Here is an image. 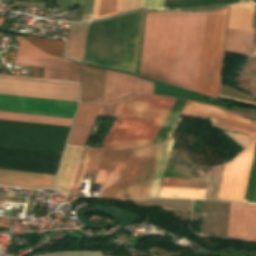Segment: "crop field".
Listing matches in <instances>:
<instances>
[{
  "instance_id": "10",
  "label": "crop field",
  "mask_w": 256,
  "mask_h": 256,
  "mask_svg": "<svg viewBox=\"0 0 256 256\" xmlns=\"http://www.w3.org/2000/svg\"><path fill=\"white\" fill-rule=\"evenodd\" d=\"M254 142L226 164L218 199L243 201Z\"/></svg>"
},
{
  "instance_id": "33",
  "label": "crop field",
  "mask_w": 256,
  "mask_h": 256,
  "mask_svg": "<svg viewBox=\"0 0 256 256\" xmlns=\"http://www.w3.org/2000/svg\"><path fill=\"white\" fill-rule=\"evenodd\" d=\"M178 152V150L171 151L168 165L163 177L187 178V175H180L175 166Z\"/></svg>"
},
{
  "instance_id": "8",
  "label": "crop field",
  "mask_w": 256,
  "mask_h": 256,
  "mask_svg": "<svg viewBox=\"0 0 256 256\" xmlns=\"http://www.w3.org/2000/svg\"><path fill=\"white\" fill-rule=\"evenodd\" d=\"M78 103L0 95V111L73 118Z\"/></svg>"
},
{
  "instance_id": "1",
  "label": "crop field",
  "mask_w": 256,
  "mask_h": 256,
  "mask_svg": "<svg viewBox=\"0 0 256 256\" xmlns=\"http://www.w3.org/2000/svg\"><path fill=\"white\" fill-rule=\"evenodd\" d=\"M205 16L147 13L139 74L196 92Z\"/></svg>"
},
{
  "instance_id": "24",
  "label": "crop field",
  "mask_w": 256,
  "mask_h": 256,
  "mask_svg": "<svg viewBox=\"0 0 256 256\" xmlns=\"http://www.w3.org/2000/svg\"><path fill=\"white\" fill-rule=\"evenodd\" d=\"M140 207H162L164 210H189L191 211L192 200L152 199L134 202Z\"/></svg>"
},
{
  "instance_id": "17",
  "label": "crop field",
  "mask_w": 256,
  "mask_h": 256,
  "mask_svg": "<svg viewBox=\"0 0 256 256\" xmlns=\"http://www.w3.org/2000/svg\"><path fill=\"white\" fill-rule=\"evenodd\" d=\"M84 148L67 146L55 188L69 195Z\"/></svg>"
},
{
  "instance_id": "27",
  "label": "crop field",
  "mask_w": 256,
  "mask_h": 256,
  "mask_svg": "<svg viewBox=\"0 0 256 256\" xmlns=\"http://www.w3.org/2000/svg\"><path fill=\"white\" fill-rule=\"evenodd\" d=\"M205 190L161 188L158 197L203 199Z\"/></svg>"
},
{
  "instance_id": "41",
  "label": "crop field",
  "mask_w": 256,
  "mask_h": 256,
  "mask_svg": "<svg viewBox=\"0 0 256 256\" xmlns=\"http://www.w3.org/2000/svg\"><path fill=\"white\" fill-rule=\"evenodd\" d=\"M252 75H253L254 79H256V73H252Z\"/></svg>"
},
{
  "instance_id": "32",
  "label": "crop field",
  "mask_w": 256,
  "mask_h": 256,
  "mask_svg": "<svg viewBox=\"0 0 256 256\" xmlns=\"http://www.w3.org/2000/svg\"><path fill=\"white\" fill-rule=\"evenodd\" d=\"M92 149L85 148L70 196L77 197Z\"/></svg>"
},
{
  "instance_id": "5",
  "label": "crop field",
  "mask_w": 256,
  "mask_h": 256,
  "mask_svg": "<svg viewBox=\"0 0 256 256\" xmlns=\"http://www.w3.org/2000/svg\"><path fill=\"white\" fill-rule=\"evenodd\" d=\"M162 146L132 150L118 199L124 200L125 194H130L129 200L148 197Z\"/></svg>"
},
{
  "instance_id": "40",
  "label": "crop field",
  "mask_w": 256,
  "mask_h": 256,
  "mask_svg": "<svg viewBox=\"0 0 256 256\" xmlns=\"http://www.w3.org/2000/svg\"><path fill=\"white\" fill-rule=\"evenodd\" d=\"M220 97L227 98V99H231V100H235V101H239V102H244V103L255 104V105H256V103L249 102V101H245V100L235 99V98L226 97V96H222V95H220Z\"/></svg>"
},
{
  "instance_id": "3",
  "label": "crop field",
  "mask_w": 256,
  "mask_h": 256,
  "mask_svg": "<svg viewBox=\"0 0 256 256\" xmlns=\"http://www.w3.org/2000/svg\"><path fill=\"white\" fill-rule=\"evenodd\" d=\"M229 7L207 12L197 92L218 97Z\"/></svg>"
},
{
  "instance_id": "29",
  "label": "crop field",
  "mask_w": 256,
  "mask_h": 256,
  "mask_svg": "<svg viewBox=\"0 0 256 256\" xmlns=\"http://www.w3.org/2000/svg\"><path fill=\"white\" fill-rule=\"evenodd\" d=\"M20 42L18 51L16 55L29 56V57H39V58H50V59H62L55 56L48 55L41 50L37 49L31 45L26 38L16 37ZM65 60V59H64Z\"/></svg>"
},
{
  "instance_id": "26",
  "label": "crop field",
  "mask_w": 256,
  "mask_h": 256,
  "mask_svg": "<svg viewBox=\"0 0 256 256\" xmlns=\"http://www.w3.org/2000/svg\"><path fill=\"white\" fill-rule=\"evenodd\" d=\"M26 38L35 46L45 50L46 52L53 55L64 57L63 56L64 45H65L64 41L30 37V36H27Z\"/></svg>"
},
{
  "instance_id": "35",
  "label": "crop field",
  "mask_w": 256,
  "mask_h": 256,
  "mask_svg": "<svg viewBox=\"0 0 256 256\" xmlns=\"http://www.w3.org/2000/svg\"><path fill=\"white\" fill-rule=\"evenodd\" d=\"M125 101L115 104H103L98 116L116 117Z\"/></svg>"
},
{
  "instance_id": "15",
  "label": "crop field",
  "mask_w": 256,
  "mask_h": 256,
  "mask_svg": "<svg viewBox=\"0 0 256 256\" xmlns=\"http://www.w3.org/2000/svg\"><path fill=\"white\" fill-rule=\"evenodd\" d=\"M101 105L80 103L68 144L86 145Z\"/></svg>"
},
{
  "instance_id": "34",
  "label": "crop field",
  "mask_w": 256,
  "mask_h": 256,
  "mask_svg": "<svg viewBox=\"0 0 256 256\" xmlns=\"http://www.w3.org/2000/svg\"><path fill=\"white\" fill-rule=\"evenodd\" d=\"M103 150L93 149L85 174L96 175L99 161Z\"/></svg>"
},
{
  "instance_id": "13",
  "label": "crop field",
  "mask_w": 256,
  "mask_h": 256,
  "mask_svg": "<svg viewBox=\"0 0 256 256\" xmlns=\"http://www.w3.org/2000/svg\"><path fill=\"white\" fill-rule=\"evenodd\" d=\"M14 64L45 67L44 78L79 82L81 66L72 61L16 56Z\"/></svg>"
},
{
  "instance_id": "9",
  "label": "crop field",
  "mask_w": 256,
  "mask_h": 256,
  "mask_svg": "<svg viewBox=\"0 0 256 256\" xmlns=\"http://www.w3.org/2000/svg\"><path fill=\"white\" fill-rule=\"evenodd\" d=\"M131 150H104L94 183L104 184L101 197L117 199Z\"/></svg>"
},
{
  "instance_id": "31",
  "label": "crop field",
  "mask_w": 256,
  "mask_h": 256,
  "mask_svg": "<svg viewBox=\"0 0 256 256\" xmlns=\"http://www.w3.org/2000/svg\"><path fill=\"white\" fill-rule=\"evenodd\" d=\"M154 94L185 98L202 102L203 98L154 83Z\"/></svg>"
},
{
  "instance_id": "6",
  "label": "crop field",
  "mask_w": 256,
  "mask_h": 256,
  "mask_svg": "<svg viewBox=\"0 0 256 256\" xmlns=\"http://www.w3.org/2000/svg\"><path fill=\"white\" fill-rule=\"evenodd\" d=\"M0 94L78 102L79 86L0 78Z\"/></svg>"
},
{
  "instance_id": "2",
  "label": "crop field",
  "mask_w": 256,
  "mask_h": 256,
  "mask_svg": "<svg viewBox=\"0 0 256 256\" xmlns=\"http://www.w3.org/2000/svg\"><path fill=\"white\" fill-rule=\"evenodd\" d=\"M174 101L149 95L126 100L102 148L151 145Z\"/></svg>"
},
{
  "instance_id": "23",
  "label": "crop field",
  "mask_w": 256,
  "mask_h": 256,
  "mask_svg": "<svg viewBox=\"0 0 256 256\" xmlns=\"http://www.w3.org/2000/svg\"><path fill=\"white\" fill-rule=\"evenodd\" d=\"M186 101L176 99L173 107L171 108L168 116L166 117L162 127L160 128L157 136L155 137L152 145L164 144L168 134L170 133L174 123L176 122L180 112L182 111Z\"/></svg>"
},
{
  "instance_id": "39",
  "label": "crop field",
  "mask_w": 256,
  "mask_h": 256,
  "mask_svg": "<svg viewBox=\"0 0 256 256\" xmlns=\"http://www.w3.org/2000/svg\"><path fill=\"white\" fill-rule=\"evenodd\" d=\"M153 94V83L140 79L139 95Z\"/></svg>"
},
{
  "instance_id": "38",
  "label": "crop field",
  "mask_w": 256,
  "mask_h": 256,
  "mask_svg": "<svg viewBox=\"0 0 256 256\" xmlns=\"http://www.w3.org/2000/svg\"><path fill=\"white\" fill-rule=\"evenodd\" d=\"M0 77H2V78H12V79H23V80H33V81H43V82H54V83H64V84L79 85V83H75V82H65V81H56V80H47V79L28 78V77H18V76H8V75H0Z\"/></svg>"
},
{
  "instance_id": "7",
  "label": "crop field",
  "mask_w": 256,
  "mask_h": 256,
  "mask_svg": "<svg viewBox=\"0 0 256 256\" xmlns=\"http://www.w3.org/2000/svg\"><path fill=\"white\" fill-rule=\"evenodd\" d=\"M182 114L212 120L219 129L256 137V123L222 108L187 101Z\"/></svg>"
},
{
  "instance_id": "21",
  "label": "crop field",
  "mask_w": 256,
  "mask_h": 256,
  "mask_svg": "<svg viewBox=\"0 0 256 256\" xmlns=\"http://www.w3.org/2000/svg\"><path fill=\"white\" fill-rule=\"evenodd\" d=\"M0 119L70 126L73 119L0 112Z\"/></svg>"
},
{
  "instance_id": "28",
  "label": "crop field",
  "mask_w": 256,
  "mask_h": 256,
  "mask_svg": "<svg viewBox=\"0 0 256 256\" xmlns=\"http://www.w3.org/2000/svg\"><path fill=\"white\" fill-rule=\"evenodd\" d=\"M207 182L208 180L164 178L161 187L205 189Z\"/></svg>"
},
{
  "instance_id": "18",
  "label": "crop field",
  "mask_w": 256,
  "mask_h": 256,
  "mask_svg": "<svg viewBox=\"0 0 256 256\" xmlns=\"http://www.w3.org/2000/svg\"><path fill=\"white\" fill-rule=\"evenodd\" d=\"M56 176L0 170V185L52 188Z\"/></svg>"
},
{
  "instance_id": "30",
  "label": "crop field",
  "mask_w": 256,
  "mask_h": 256,
  "mask_svg": "<svg viewBox=\"0 0 256 256\" xmlns=\"http://www.w3.org/2000/svg\"><path fill=\"white\" fill-rule=\"evenodd\" d=\"M244 201L256 202V142Z\"/></svg>"
},
{
  "instance_id": "12",
  "label": "crop field",
  "mask_w": 256,
  "mask_h": 256,
  "mask_svg": "<svg viewBox=\"0 0 256 256\" xmlns=\"http://www.w3.org/2000/svg\"><path fill=\"white\" fill-rule=\"evenodd\" d=\"M228 237L256 241V204L231 202Z\"/></svg>"
},
{
  "instance_id": "4",
  "label": "crop field",
  "mask_w": 256,
  "mask_h": 256,
  "mask_svg": "<svg viewBox=\"0 0 256 256\" xmlns=\"http://www.w3.org/2000/svg\"><path fill=\"white\" fill-rule=\"evenodd\" d=\"M69 128L0 120V145L63 152Z\"/></svg>"
},
{
  "instance_id": "22",
  "label": "crop field",
  "mask_w": 256,
  "mask_h": 256,
  "mask_svg": "<svg viewBox=\"0 0 256 256\" xmlns=\"http://www.w3.org/2000/svg\"><path fill=\"white\" fill-rule=\"evenodd\" d=\"M179 121H180V118H178L175 126L173 127L170 135L168 136V138H167V140H166V142L163 146V150H162V153H161V156H160V160H159V163H158V166H157V170H156V173H155V177H154V180H153L152 187H151L148 198H152V197L157 196V192H158V189H159V186H160V182H161V179H162V176H163V172H164V169H165V166H166V162H167V159H168V156H169V152H170V149H171V147H172V145L175 141V140L170 139V138H171L173 132L175 131Z\"/></svg>"
},
{
  "instance_id": "20",
  "label": "crop field",
  "mask_w": 256,
  "mask_h": 256,
  "mask_svg": "<svg viewBox=\"0 0 256 256\" xmlns=\"http://www.w3.org/2000/svg\"><path fill=\"white\" fill-rule=\"evenodd\" d=\"M254 7L252 3L232 5L228 27L251 31Z\"/></svg>"
},
{
  "instance_id": "25",
  "label": "crop field",
  "mask_w": 256,
  "mask_h": 256,
  "mask_svg": "<svg viewBox=\"0 0 256 256\" xmlns=\"http://www.w3.org/2000/svg\"><path fill=\"white\" fill-rule=\"evenodd\" d=\"M121 0H96L93 19H100L120 13Z\"/></svg>"
},
{
  "instance_id": "36",
  "label": "crop field",
  "mask_w": 256,
  "mask_h": 256,
  "mask_svg": "<svg viewBox=\"0 0 256 256\" xmlns=\"http://www.w3.org/2000/svg\"><path fill=\"white\" fill-rule=\"evenodd\" d=\"M142 0H122L121 13L140 9Z\"/></svg>"
},
{
  "instance_id": "37",
  "label": "crop field",
  "mask_w": 256,
  "mask_h": 256,
  "mask_svg": "<svg viewBox=\"0 0 256 256\" xmlns=\"http://www.w3.org/2000/svg\"><path fill=\"white\" fill-rule=\"evenodd\" d=\"M164 0H143L142 7L152 10L163 9Z\"/></svg>"
},
{
  "instance_id": "14",
  "label": "crop field",
  "mask_w": 256,
  "mask_h": 256,
  "mask_svg": "<svg viewBox=\"0 0 256 256\" xmlns=\"http://www.w3.org/2000/svg\"><path fill=\"white\" fill-rule=\"evenodd\" d=\"M139 79L106 71L104 102H116L138 95Z\"/></svg>"
},
{
  "instance_id": "16",
  "label": "crop field",
  "mask_w": 256,
  "mask_h": 256,
  "mask_svg": "<svg viewBox=\"0 0 256 256\" xmlns=\"http://www.w3.org/2000/svg\"><path fill=\"white\" fill-rule=\"evenodd\" d=\"M105 71L83 66L80 101L103 102Z\"/></svg>"
},
{
  "instance_id": "11",
  "label": "crop field",
  "mask_w": 256,
  "mask_h": 256,
  "mask_svg": "<svg viewBox=\"0 0 256 256\" xmlns=\"http://www.w3.org/2000/svg\"><path fill=\"white\" fill-rule=\"evenodd\" d=\"M203 201L194 200L193 212H202ZM230 202L204 201L201 235L227 237Z\"/></svg>"
},
{
  "instance_id": "19",
  "label": "crop field",
  "mask_w": 256,
  "mask_h": 256,
  "mask_svg": "<svg viewBox=\"0 0 256 256\" xmlns=\"http://www.w3.org/2000/svg\"><path fill=\"white\" fill-rule=\"evenodd\" d=\"M87 23H70L66 57L82 63Z\"/></svg>"
}]
</instances>
